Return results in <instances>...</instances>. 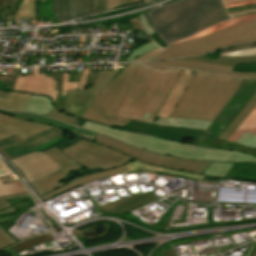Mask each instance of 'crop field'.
Returning <instances> with one entry per match:
<instances>
[{"instance_id":"obj_1","label":"crop field","mask_w":256,"mask_h":256,"mask_svg":"<svg viewBox=\"0 0 256 256\" xmlns=\"http://www.w3.org/2000/svg\"><path fill=\"white\" fill-rule=\"evenodd\" d=\"M67 156L83 164L88 169L101 167L103 172L91 174L80 179L71 181L70 183H58L67 176L70 169H79L81 166L77 164L70 165L51 176L40 181L31 183L34 190L38 193L42 200H50L72 188L97 181L109 176L128 173L129 171L124 164L134 160L131 157L123 155L105 146L98 145L84 139L69 146L68 148L60 145L57 146ZM86 157L87 159L85 160Z\"/></svg>"},{"instance_id":"obj_2","label":"crop field","mask_w":256,"mask_h":256,"mask_svg":"<svg viewBox=\"0 0 256 256\" xmlns=\"http://www.w3.org/2000/svg\"><path fill=\"white\" fill-rule=\"evenodd\" d=\"M145 15L167 45L230 18L221 0H183Z\"/></svg>"},{"instance_id":"obj_3","label":"crop field","mask_w":256,"mask_h":256,"mask_svg":"<svg viewBox=\"0 0 256 256\" xmlns=\"http://www.w3.org/2000/svg\"><path fill=\"white\" fill-rule=\"evenodd\" d=\"M242 79L197 72L171 117L213 120Z\"/></svg>"},{"instance_id":"obj_4","label":"crop field","mask_w":256,"mask_h":256,"mask_svg":"<svg viewBox=\"0 0 256 256\" xmlns=\"http://www.w3.org/2000/svg\"><path fill=\"white\" fill-rule=\"evenodd\" d=\"M180 69L142 66L118 115L152 123Z\"/></svg>"},{"instance_id":"obj_5","label":"crop field","mask_w":256,"mask_h":256,"mask_svg":"<svg viewBox=\"0 0 256 256\" xmlns=\"http://www.w3.org/2000/svg\"><path fill=\"white\" fill-rule=\"evenodd\" d=\"M82 128L106 134L130 145L138 146L142 149L189 159L215 161H256V157L240 153L239 151L207 149L193 145L175 143L170 140L164 141L162 138L126 132L120 129L91 123L89 121H87Z\"/></svg>"},{"instance_id":"obj_6","label":"crop field","mask_w":256,"mask_h":256,"mask_svg":"<svg viewBox=\"0 0 256 256\" xmlns=\"http://www.w3.org/2000/svg\"><path fill=\"white\" fill-rule=\"evenodd\" d=\"M140 64H128L109 84L101 89L81 119L124 129L130 119L116 116Z\"/></svg>"},{"instance_id":"obj_7","label":"crop field","mask_w":256,"mask_h":256,"mask_svg":"<svg viewBox=\"0 0 256 256\" xmlns=\"http://www.w3.org/2000/svg\"><path fill=\"white\" fill-rule=\"evenodd\" d=\"M253 39H256V22L169 46L150 60L204 54L230 44Z\"/></svg>"},{"instance_id":"obj_8","label":"crop field","mask_w":256,"mask_h":256,"mask_svg":"<svg viewBox=\"0 0 256 256\" xmlns=\"http://www.w3.org/2000/svg\"><path fill=\"white\" fill-rule=\"evenodd\" d=\"M91 141L111 147L144 163L187 171L199 175H201L211 163L155 155L147 151L136 149L100 134L94 137Z\"/></svg>"},{"instance_id":"obj_9","label":"crop field","mask_w":256,"mask_h":256,"mask_svg":"<svg viewBox=\"0 0 256 256\" xmlns=\"http://www.w3.org/2000/svg\"><path fill=\"white\" fill-rule=\"evenodd\" d=\"M256 92V79L244 78L238 90L231 97L224 109L213 120L205 133L219 137L234 118L244 108L253 94Z\"/></svg>"},{"instance_id":"obj_10","label":"crop field","mask_w":256,"mask_h":256,"mask_svg":"<svg viewBox=\"0 0 256 256\" xmlns=\"http://www.w3.org/2000/svg\"><path fill=\"white\" fill-rule=\"evenodd\" d=\"M119 72L120 71H100L93 86L89 89L67 91L61 112L80 118L100 89L104 88Z\"/></svg>"},{"instance_id":"obj_11","label":"crop field","mask_w":256,"mask_h":256,"mask_svg":"<svg viewBox=\"0 0 256 256\" xmlns=\"http://www.w3.org/2000/svg\"><path fill=\"white\" fill-rule=\"evenodd\" d=\"M62 137V129L54 127L24 141L17 137L15 139L0 143V152H2L9 160H11L42 149L59 141Z\"/></svg>"},{"instance_id":"obj_12","label":"crop field","mask_w":256,"mask_h":256,"mask_svg":"<svg viewBox=\"0 0 256 256\" xmlns=\"http://www.w3.org/2000/svg\"><path fill=\"white\" fill-rule=\"evenodd\" d=\"M11 162L20 170L28 182L62 169L38 151L11 160Z\"/></svg>"},{"instance_id":"obj_13","label":"crop field","mask_w":256,"mask_h":256,"mask_svg":"<svg viewBox=\"0 0 256 256\" xmlns=\"http://www.w3.org/2000/svg\"><path fill=\"white\" fill-rule=\"evenodd\" d=\"M105 0H55L57 21H68L103 12Z\"/></svg>"},{"instance_id":"obj_14","label":"crop field","mask_w":256,"mask_h":256,"mask_svg":"<svg viewBox=\"0 0 256 256\" xmlns=\"http://www.w3.org/2000/svg\"><path fill=\"white\" fill-rule=\"evenodd\" d=\"M52 127L54 126L33 123L0 113V142L16 136L24 140Z\"/></svg>"},{"instance_id":"obj_15","label":"crop field","mask_w":256,"mask_h":256,"mask_svg":"<svg viewBox=\"0 0 256 256\" xmlns=\"http://www.w3.org/2000/svg\"><path fill=\"white\" fill-rule=\"evenodd\" d=\"M124 130L163 137L165 140L171 139L176 142H178L181 137H192L195 139L204 133V131L200 130L165 127L160 125L141 123L133 120H130Z\"/></svg>"},{"instance_id":"obj_16","label":"crop field","mask_w":256,"mask_h":256,"mask_svg":"<svg viewBox=\"0 0 256 256\" xmlns=\"http://www.w3.org/2000/svg\"><path fill=\"white\" fill-rule=\"evenodd\" d=\"M142 64L167 66V67H182V68H188V69L205 71V72L216 73V74L256 78V73L232 72L233 68H231V67H224V66H218V65L208 64V63L183 60V59H173V60H166V61H152V62H144Z\"/></svg>"},{"instance_id":"obj_17","label":"crop field","mask_w":256,"mask_h":256,"mask_svg":"<svg viewBox=\"0 0 256 256\" xmlns=\"http://www.w3.org/2000/svg\"><path fill=\"white\" fill-rule=\"evenodd\" d=\"M158 197L153 192L144 193L138 196H129L121 200L110 203L100 209L105 212H116L118 214L130 211L133 208L142 206L146 203L152 202Z\"/></svg>"},{"instance_id":"obj_18","label":"crop field","mask_w":256,"mask_h":256,"mask_svg":"<svg viewBox=\"0 0 256 256\" xmlns=\"http://www.w3.org/2000/svg\"><path fill=\"white\" fill-rule=\"evenodd\" d=\"M253 21H256V14L255 13L247 15V16H243V17L234 18L232 20L221 22V23H219V24H217V25H215L211 28H208L206 30H203V31H201V32L189 37V38L178 40V41L174 42L173 44L183 42V41H186V40H190V39H194V38H198V37H202V36H205V35H209V34H212V33H215V32H219V31H222V30H225V29H229V28L239 26V25H242V24H245V23L253 22ZM173 44H171V45H173Z\"/></svg>"},{"instance_id":"obj_19","label":"crop field","mask_w":256,"mask_h":256,"mask_svg":"<svg viewBox=\"0 0 256 256\" xmlns=\"http://www.w3.org/2000/svg\"><path fill=\"white\" fill-rule=\"evenodd\" d=\"M126 167L130 172L134 171H143V172H162V173H168V174H173L177 176H182L186 178H194V179H202L204 176H199L187 172H182V171H177V170H172L168 168H163V167H158V166H153V165H148V164H143L137 160H134L128 164H126Z\"/></svg>"},{"instance_id":"obj_20","label":"crop field","mask_w":256,"mask_h":256,"mask_svg":"<svg viewBox=\"0 0 256 256\" xmlns=\"http://www.w3.org/2000/svg\"><path fill=\"white\" fill-rule=\"evenodd\" d=\"M224 178L256 181V163H235Z\"/></svg>"},{"instance_id":"obj_21","label":"crop field","mask_w":256,"mask_h":256,"mask_svg":"<svg viewBox=\"0 0 256 256\" xmlns=\"http://www.w3.org/2000/svg\"><path fill=\"white\" fill-rule=\"evenodd\" d=\"M210 123H211V121H205V120L159 118L156 124L165 125V126H174V127H183V128L206 130V128L209 126Z\"/></svg>"},{"instance_id":"obj_22","label":"crop field","mask_w":256,"mask_h":256,"mask_svg":"<svg viewBox=\"0 0 256 256\" xmlns=\"http://www.w3.org/2000/svg\"><path fill=\"white\" fill-rule=\"evenodd\" d=\"M183 59H189V60H196V61H202V62H208L218 65H224V66H231L234 67L236 63L239 62H256V56H250V57H219L217 60H211L208 58L203 57H188Z\"/></svg>"},{"instance_id":"obj_23","label":"crop field","mask_w":256,"mask_h":256,"mask_svg":"<svg viewBox=\"0 0 256 256\" xmlns=\"http://www.w3.org/2000/svg\"><path fill=\"white\" fill-rule=\"evenodd\" d=\"M245 131L256 135V106L236 131L230 136L228 141L235 143Z\"/></svg>"},{"instance_id":"obj_24","label":"crop field","mask_w":256,"mask_h":256,"mask_svg":"<svg viewBox=\"0 0 256 256\" xmlns=\"http://www.w3.org/2000/svg\"><path fill=\"white\" fill-rule=\"evenodd\" d=\"M256 105V93L246 105V107L241 111V113L235 118V120L229 125V127L222 133L220 138L227 140L229 136L235 131V129L240 125V123L245 119V117L250 113V111Z\"/></svg>"},{"instance_id":"obj_25","label":"crop field","mask_w":256,"mask_h":256,"mask_svg":"<svg viewBox=\"0 0 256 256\" xmlns=\"http://www.w3.org/2000/svg\"><path fill=\"white\" fill-rule=\"evenodd\" d=\"M53 238H52V234H45V235H40V236H36V237H33L31 239H28L22 243H19L13 247H11L14 251H16L17 253L25 250V249H28V248H31L33 246H36V245H39V244H42V243H46V242H49V241H52Z\"/></svg>"},{"instance_id":"obj_26","label":"crop field","mask_w":256,"mask_h":256,"mask_svg":"<svg viewBox=\"0 0 256 256\" xmlns=\"http://www.w3.org/2000/svg\"><path fill=\"white\" fill-rule=\"evenodd\" d=\"M43 154H45L47 157H49L51 160H53L55 163H57L62 168L76 162V161L72 160L71 158L67 157L56 147L43 152Z\"/></svg>"},{"instance_id":"obj_27","label":"crop field","mask_w":256,"mask_h":256,"mask_svg":"<svg viewBox=\"0 0 256 256\" xmlns=\"http://www.w3.org/2000/svg\"><path fill=\"white\" fill-rule=\"evenodd\" d=\"M34 3L35 0H24L17 9L13 19L35 17Z\"/></svg>"},{"instance_id":"obj_28","label":"crop field","mask_w":256,"mask_h":256,"mask_svg":"<svg viewBox=\"0 0 256 256\" xmlns=\"http://www.w3.org/2000/svg\"><path fill=\"white\" fill-rule=\"evenodd\" d=\"M233 164L212 162L202 175L224 177Z\"/></svg>"},{"instance_id":"obj_29","label":"crop field","mask_w":256,"mask_h":256,"mask_svg":"<svg viewBox=\"0 0 256 256\" xmlns=\"http://www.w3.org/2000/svg\"><path fill=\"white\" fill-rule=\"evenodd\" d=\"M27 192L24 185L20 182H13L9 184L2 185L0 181V196L12 195L18 193Z\"/></svg>"},{"instance_id":"obj_30","label":"crop field","mask_w":256,"mask_h":256,"mask_svg":"<svg viewBox=\"0 0 256 256\" xmlns=\"http://www.w3.org/2000/svg\"><path fill=\"white\" fill-rule=\"evenodd\" d=\"M13 211H14V209L12 207H10L8 209L0 211V215L8 213V212H13ZM16 243H18V242L16 240H14L8 233H6L0 227V250L5 248V247L11 246L13 244H16Z\"/></svg>"},{"instance_id":"obj_31","label":"crop field","mask_w":256,"mask_h":256,"mask_svg":"<svg viewBox=\"0 0 256 256\" xmlns=\"http://www.w3.org/2000/svg\"><path fill=\"white\" fill-rule=\"evenodd\" d=\"M142 0H106V10L113 9L118 6H124V5H130V4H136L140 3ZM119 4V5H117Z\"/></svg>"},{"instance_id":"obj_32","label":"crop field","mask_w":256,"mask_h":256,"mask_svg":"<svg viewBox=\"0 0 256 256\" xmlns=\"http://www.w3.org/2000/svg\"><path fill=\"white\" fill-rule=\"evenodd\" d=\"M236 143L256 149V136L245 132Z\"/></svg>"},{"instance_id":"obj_33","label":"crop field","mask_w":256,"mask_h":256,"mask_svg":"<svg viewBox=\"0 0 256 256\" xmlns=\"http://www.w3.org/2000/svg\"><path fill=\"white\" fill-rule=\"evenodd\" d=\"M156 47H157V46H155L152 42H150V43L144 45L143 47H141V48H139V49L133 51V52L131 53V57H128V58L126 59V61H127V62H130V61L136 59L137 57H139L140 55H142V54H144V53H146V52H148V51H150V50H152V49H154V48H156Z\"/></svg>"},{"instance_id":"obj_34","label":"crop field","mask_w":256,"mask_h":256,"mask_svg":"<svg viewBox=\"0 0 256 256\" xmlns=\"http://www.w3.org/2000/svg\"><path fill=\"white\" fill-rule=\"evenodd\" d=\"M17 0H5V2L0 6V19L5 20L9 10L14 5Z\"/></svg>"},{"instance_id":"obj_35","label":"crop field","mask_w":256,"mask_h":256,"mask_svg":"<svg viewBox=\"0 0 256 256\" xmlns=\"http://www.w3.org/2000/svg\"><path fill=\"white\" fill-rule=\"evenodd\" d=\"M50 115H52L54 118L67 122V123H71L73 124L77 118L71 117V116H66L62 113H58V111L53 107V109L50 111L49 113Z\"/></svg>"},{"instance_id":"obj_36","label":"crop field","mask_w":256,"mask_h":256,"mask_svg":"<svg viewBox=\"0 0 256 256\" xmlns=\"http://www.w3.org/2000/svg\"><path fill=\"white\" fill-rule=\"evenodd\" d=\"M256 47V41H252L246 44H240V45H235V46H231L227 49H224L222 51L223 52H230V51H238V50H245V49H249V48H253Z\"/></svg>"},{"instance_id":"obj_37","label":"crop field","mask_w":256,"mask_h":256,"mask_svg":"<svg viewBox=\"0 0 256 256\" xmlns=\"http://www.w3.org/2000/svg\"><path fill=\"white\" fill-rule=\"evenodd\" d=\"M141 23H142V26L147 34V36L154 42L156 43L153 38L150 36L151 34L155 33L154 30L151 28V26L149 25L145 15L139 17ZM157 44V43H156ZM158 45V44H157ZM159 46V45H158ZM163 49V48H162Z\"/></svg>"},{"instance_id":"obj_38","label":"crop field","mask_w":256,"mask_h":256,"mask_svg":"<svg viewBox=\"0 0 256 256\" xmlns=\"http://www.w3.org/2000/svg\"><path fill=\"white\" fill-rule=\"evenodd\" d=\"M250 55H256V48L245 50V51H239V52H230V53H224L220 56H250Z\"/></svg>"},{"instance_id":"obj_39","label":"crop field","mask_w":256,"mask_h":256,"mask_svg":"<svg viewBox=\"0 0 256 256\" xmlns=\"http://www.w3.org/2000/svg\"><path fill=\"white\" fill-rule=\"evenodd\" d=\"M160 51H161V49L156 48V49H154V50H152V51H150V52L144 54L143 56H140L138 59H136V60L133 61V62L144 61V60H146V59H148V58L154 56L155 54H157V53L160 52Z\"/></svg>"},{"instance_id":"obj_40","label":"crop field","mask_w":256,"mask_h":256,"mask_svg":"<svg viewBox=\"0 0 256 256\" xmlns=\"http://www.w3.org/2000/svg\"><path fill=\"white\" fill-rule=\"evenodd\" d=\"M12 175V173L9 171V169L6 167V165L2 162L0 159V177Z\"/></svg>"},{"instance_id":"obj_41","label":"crop field","mask_w":256,"mask_h":256,"mask_svg":"<svg viewBox=\"0 0 256 256\" xmlns=\"http://www.w3.org/2000/svg\"><path fill=\"white\" fill-rule=\"evenodd\" d=\"M253 9H256V6L255 7H247V8L234 9V10H230L228 12H229V14H232V13H237V12L247 11V10H253Z\"/></svg>"},{"instance_id":"obj_42","label":"crop field","mask_w":256,"mask_h":256,"mask_svg":"<svg viewBox=\"0 0 256 256\" xmlns=\"http://www.w3.org/2000/svg\"><path fill=\"white\" fill-rule=\"evenodd\" d=\"M224 5H228V4H234V3H238V2H243V1H251V0H222Z\"/></svg>"},{"instance_id":"obj_43","label":"crop field","mask_w":256,"mask_h":256,"mask_svg":"<svg viewBox=\"0 0 256 256\" xmlns=\"http://www.w3.org/2000/svg\"><path fill=\"white\" fill-rule=\"evenodd\" d=\"M28 195H29L28 193H25V194L13 195V196H5V197H0V200L28 196Z\"/></svg>"},{"instance_id":"obj_44","label":"crop field","mask_w":256,"mask_h":256,"mask_svg":"<svg viewBox=\"0 0 256 256\" xmlns=\"http://www.w3.org/2000/svg\"><path fill=\"white\" fill-rule=\"evenodd\" d=\"M8 207H10V205L7 200L0 201V210Z\"/></svg>"},{"instance_id":"obj_45","label":"crop field","mask_w":256,"mask_h":256,"mask_svg":"<svg viewBox=\"0 0 256 256\" xmlns=\"http://www.w3.org/2000/svg\"><path fill=\"white\" fill-rule=\"evenodd\" d=\"M252 3H256V1L243 2V3H239V4L228 5V6H226V8L235 7V6H240V5H246V4H252Z\"/></svg>"},{"instance_id":"obj_46","label":"crop field","mask_w":256,"mask_h":256,"mask_svg":"<svg viewBox=\"0 0 256 256\" xmlns=\"http://www.w3.org/2000/svg\"><path fill=\"white\" fill-rule=\"evenodd\" d=\"M250 12H256V10H253V11H247V12H241V13H237V14H232L231 17L234 18L238 15H243V14H247V13H250Z\"/></svg>"},{"instance_id":"obj_47","label":"crop field","mask_w":256,"mask_h":256,"mask_svg":"<svg viewBox=\"0 0 256 256\" xmlns=\"http://www.w3.org/2000/svg\"><path fill=\"white\" fill-rule=\"evenodd\" d=\"M6 85L12 86L13 83H8V82L0 81V86L4 87Z\"/></svg>"},{"instance_id":"obj_48","label":"crop field","mask_w":256,"mask_h":256,"mask_svg":"<svg viewBox=\"0 0 256 256\" xmlns=\"http://www.w3.org/2000/svg\"><path fill=\"white\" fill-rule=\"evenodd\" d=\"M149 1H153V0H143V3H145V2H149Z\"/></svg>"}]
</instances>
